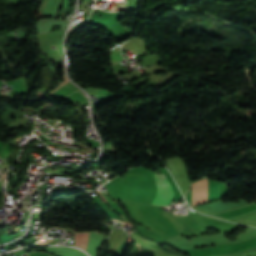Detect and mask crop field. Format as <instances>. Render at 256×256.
I'll return each instance as SVG.
<instances>
[{"mask_svg": "<svg viewBox=\"0 0 256 256\" xmlns=\"http://www.w3.org/2000/svg\"><path fill=\"white\" fill-rule=\"evenodd\" d=\"M88 232L76 233L75 246L86 250Z\"/></svg>", "mask_w": 256, "mask_h": 256, "instance_id": "obj_2", "label": "crop field"}, {"mask_svg": "<svg viewBox=\"0 0 256 256\" xmlns=\"http://www.w3.org/2000/svg\"><path fill=\"white\" fill-rule=\"evenodd\" d=\"M154 176H155L158 194L152 203L166 206L172 197L173 190L165 174H161V175L154 174Z\"/></svg>", "mask_w": 256, "mask_h": 256, "instance_id": "obj_1", "label": "crop field"}]
</instances>
